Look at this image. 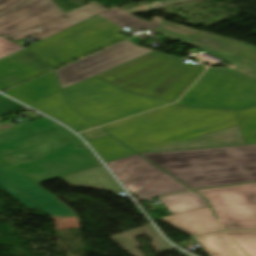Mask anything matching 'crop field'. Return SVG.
<instances>
[{
  "mask_svg": "<svg viewBox=\"0 0 256 256\" xmlns=\"http://www.w3.org/2000/svg\"><path fill=\"white\" fill-rule=\"evenodd\" d=\"M51 70L26 49L0 60V91Z\"/></svg>",
  "mask_w": 256,
  "mask_h": 256,
  "instance_id": "14",
  "label": "crop field"
},
{
  "mask_svg": "<svg viewBox=\"0 0 256 256\" xmlns=\"http://www.w3.org/2000/svg\"><path fill=\"white\" fill-rule=\"evenodd\" d=\"M204 70L203 66L186 64L177 57L153 51L96 77L130 93L174 102Z\"/></svg>",
  "mask_w": 256,
  "mask_h": 256,
  "instance_id": "5",
  "label": "crop field"
},
{
  "mask_svg": "<svg viewBox=\"0 0 256 256\" xmlns=\"http://www.w3.org/2000/svg\"><path fill=\"white\" fill-rule=\"evenodd\" d=\"M249 256H256V231H225Z\"/></svg>",
  "mask_w": 256,
  "mask_h": 256,
  "instance_id": "24",
  "label": "crop field"
},
{
  "mask_svg": "<svg viewBox=\"0 0 256 256\" xmlns=\"http://www.w3.org/2000/svg\"><path fill=\"white\" fill-rule=\"evenodd\" d=\"M128 191L142 201L188 190L138 154L107 163Z\"/></svg>",
  "mask_w": 256,
  "mask_h": 256,
  "instance_id": "9",
  "label": "crop field"
},
{
  "mask_svg": "<svg viewBox=\"0 0 256 256\" xmlns=\"http://www.w3.org/2000/svg\"><path fill=\"white\" fill-rule=\"evenodd\" d=\"M28 105L58 119L76 131L95 127L89 121L78 115L63 100L59 91Z\"/></svg>",
  "mask_w": 256,
  "mask_h": 256,
  "instance_id": "15",
  "label": "crop field"
},
{
  "mask_svg": "<svg viewBox=\"0 0 256 256\" xmlns=\"http://www.w3.org/2000/svg\"><path fill=\"white\" fill-rule=\"evenodd\" d=\"M28 0H0V17Z\"/></svg>",
  "mask_w": 256,
  "mask_h": 256,
  "instance_id": "26",
  "label": "crop field"
},
{
  "mask_svg": "<svg viewBox=\"0 0 256 256\" xmlns=\"http://www.w3.org/2000/svg\"><path fill=\"white\" fill-rule=\"evenodd\" d=\"M197 192L209 199L223 229H256V183Z\"/></svg>",
  "mask_w": 256,
  "mask_h": 256,
  "instance_id": "10",
  "label": "crop field"
},
{
  "mask_svg": "<svg viewBox=\"0 0 256 256\" xmlns=\"http://www.w3.org/2000/svg\"><path fill=\"white\" fill-rule=\"evenodd\" d=\"M105 10L94 1L64 14L52 0H30L0 18V36L16 42L29 35L43 40Z\"/></svg>",
  "mask_w": 256,
  "mask_h": 256,
  "instance_id": "7",
  "label": "crop field"
},
{
  "mask_svg": "<svg viewBox=\"0 0 256 256\" xmlns=\"http://www.w3.org/2000/svg\"><path fill=\"white\" fill-rule=\"evenodd\" d=\"M209 256H246V254L223 232L199 236Z\"/></svg>",
  "mask_w": 256,
  "mask_h": 256,
  "instance_id": "20",
  "label": "crop field"
},
{
  "mask_svg": "<svg viewBox=\"0 0 256 256\" xmlns=\"http://www.w3.org/2000/svg\"><path fill=\"white\" fill-rule=\"evenodd\" d=\"M82 143L69 130L44 117L1 131L0 155L41 184L101 165Z\"/></svg>",
  "mask_w": 256,
  "mask_h": 256,
  "instance_id": "1",
  "label": "crop field"
},
{
  "mask_svg": "<svg viewBox=\"0 0 256 256\" xmlns=\"http://www.w3.org/2000/svg\"><path fill=\"white\" fill-rule=\"evenodd\" d=\"M142 155L193 189L256 181V144Z\"/></svg>",
  "mask_w": 256,
  "mask_h": 256,
  "instance_id": "3",
  "label": "crop field"
},
{
  "mask_svg": "<svg viewBox=\"0 0 256 256\" xmlns=\"http://www.w3.org/2000/svg\"><path fill=\"white\" fill-rule=\"evenodd\" d=\"M179 103L231 109L256 106V78L231 67L209 68Z\"/></svg>",
  "mask_w": 256,
  "mask_h": 256,
  "instance_id": "8",
  "label": "crop field"
},
{
  "mask_svg": "<svg viewBox=\"0 0 256 256\" xmlns=\"http://www.w3.org/2000/svg\"><path fill=\"white\" fill-rule=\"evenodd\" d=\"M72 186H85L123 191L103 165L61 177Z\"/></svg>",
  "mask_w": 256,
  "mask_h": 256,
  "instance_id": "19",
  "label": "crop field"
},
{
  "mask_svg": "<svg viewBox=\"0 0 256 256\" xmlns=\"http://www.w3.org/2000/svg\"><path fill=\"white\" fill-rule=\"evenodd\" d=\"M153 50L139 47L126 40L92 56L57 70L62 88L88 79L98 73L136 59Z\"/></svg>",
  "mask_w": 256,
  "mask_h": 256,
  "instance_id": "11",
  "label": "crop field"
},
{
  "mask_svg": "<svg viewBox=\"0 0 256 256\" xmlns=\"http://www.w3.org/2000/svg\"><path fill=\"white\" fill-rule=\"evenodd\" d=\"M161 219L192 236L220 229L210 207L180 213Z\"/></svg>",
  "mask_w": 256,
  "mask_h": 256,
  "instance_id": "16",
  "label": "crop field"
},
{
  "mask_svg": "<svg viewBox=\"0 0 256 256\" xmlns=\"http://www.w3.org/2000/svg\"><path fill=\"white\" fill-rule=\"evenodd\" d=\"M22 48L21 46L15 44L14 42L6 39V38H0V57L9 54L13 51H16L18 49Z\"/></svg>",
  "mask_w": 256,
  "mask_h": 256,
  "instance_id": "27",
  "label": "crop field"
},
{
  "mask_svg": "<svg viewBox=\"0 0 256 256\" xmlns=\"http://www.w3.org/2000/svg\"><path fill=\"white\" fill-rule=\"evenodd\" d=\"M20 106L22 105L0 94V115Z\"/></svg>",
  "mask_w": 256,
  "mask_h": 256,
  "instance_id": "28",
  "label": "crop field"
},
{
  "mask_svg": "<svg viewBox=\"0 0 256 256\" xmlns=\"http://www.w3.org/2000/svg\"><path fill=\"white\" fill-rule=\"evenodd\" d=\"M245 144L240 126H234L188 141H178L144 152Z\"/></svg>",
  "mask_w": 256,
  "mask_h": 256,
  "instance_id": "17",
  "label": "crop field"
},
{
  "mask_svg": "<svg viewBox=\"0 0 256 256\" xmlns=\"http://www.w3.org/2000/svg\"><path fill=\"white\" fill-rule=\"evenodd\" d=\"M173 214L207 207L205 199L193 191L159 199Z\"/></svg>",
  "mask_w": 256,
  "mask_h": 256,
  "instance_id": "21",
  "label": "crop field"
},
{
  "mask_svg": "<svg viewBox=\"0 0 256 256\" xmlns=\"http://www.w3.org/2000/svg\"><path fill=\"white\" fill-rule=\"evenodd\" d=\"M238 124L232 110L174 104L101 128L135 150L144 151Z\"/></svg>",
  "mask_w": 256,
  "mask_h": 256,
  "instance_id": "2",
  "label": "crop field"
},
{
  "mask_svg": "<svg viewBox=\"0 0 256 256\" xmlns=\"http://www.w3.org/2000/svg\"><path fill=\"white\" fill-rule=\"evenodd\" d=\"M80 135L82 137H84L87 141L107 135L104 131H102L101 129L97 128L94 130H90L84 133H80Z\"/></svg>",
  "mask_w": 256,
  "mask_h": 256,
  "instance_id": "29",
  "label": "crop field"
},
{
  "mask_svg": "<svg viewBox=\"0 0 256 256\" xmlns=\"http://www.w3.org/2000/svg\"><path fill=\"white\" fill-rule=\"evenodd\" d=\"M161 19L150 23L114 7L28 48L56 68L125 39L121 28L156 29Z\"/></svg>",
  "mask_w": 256,
  "mask_h": 256,
  "instance_id": "4",
  "label": "crop field"
},
{
  "mask_svg": "<svg viewBox=\"0 0 256 256\" xmlns=\"http://www.w3.org/2000/svg\"><path fill=\"white\" fill-rule=\"evenodd\" d=\"M0 186L30 209L40 207L50 216L77 214L0 156Z\"/></svg>",
  "mask_w": 256,
  "mask_h": 256,
  "instance_id": "12",
  "label": "crop field"
},
{
  "mask_svg": "<svg viewBox=\"0 0 256 256\" xmlns=\"http://www.w3.org/2000/svg\"><path fill=\"white\" fill-rule=\"evenodd\" d=\"M63 93L81 115L98 126L170 103L130 95L96 77Z\"/></svg>",
  "mask_w": 256,
  "mask_h": 256,
  "instance_id": "6",
  "label": "crop field"
},
{
  "mask_svg": "<svg viewBox=\"0 0 256 256\" xmlns=\"http://www.w3.org/2000/svg\"><path fill=\"white\" fill-rule=\"evenodd\" d=\"M58 90L54 72L52 71L5 93L28 104Z\"/></svg>",
  "mask_w": 256,
  "mask_h": 256,
  "instance_id": "18",
  "label": "crop field"
},
{
  "mask_svg": "<svg viewBox=\"0 0 256 256\" xmlns=\"http://www.w3.org/2000/svg\"><path fill=\"white\" fill-rule=\"evenodd\" d=\"M236 112L245 143H256V107Z\"/></svg>",
  "mask_w": 256,
  "mask_h": 256,
  "instance_id": "23",
  "label": "crop field"
},
{
  "mask_svg": "<svg viewBox=\"0 0 256 256\" xmlns=\"http://www.w3.org/2000/svg\"><path fill=\"white\" fill-rule=\"evenodd\" d=\"M89 144L104 162L134 153L128 147L110 136L89 142Z\"/></svg>",
  "mask_w": 256,
  "mask_h": 256,
  "instance_id": "22",
  "label": "crop field"
},
{
  "mask_svg": "<svg viewBox=\"0 0 256 256\" xmlns=\"http://www.w3.org/2000/svg\"><path fill=\"white\" fill-rule=\"evenodd\" d=\"M181 41L203 49L211 55L227 60L238 66V68L256 74V48L252 46L202 31Z\"/></svg>",
  "mask_w": 256,
  "mask_h": 256,
  "instance_id": "13",
  "label": "crop field"
},
{
  "mask_svg": "<svg viewBox=\"0 0 256 256\" xmlns=\"http://www.w3.org/2000/svg\"><path fill=\"white\" fill-rule=\"evenodd\" d=\"M197 31L199 30H195L189 27L163 20L162 24L156 32L181 40Z\"/></svg>",
  "mask_w": 256,
  "mask_h": 256,
  "instance_id": "25",
  "label": "crop field"
}]
</instances>
